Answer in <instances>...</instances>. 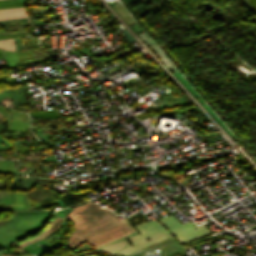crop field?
<instances>
[{
  "label": "crop field",
  "mask_w": 256,
  "mask_h": 256,
  "mask_svg": "<svg viewBox=\"0 0 256 256\" xmlns=\"http://www.w3.org/2000/svg\"><path fill=\"white\" fill-rule=\"evenodd\" d=\"M73 209L72 212L65 216L66 218L73 219L76 225V230L71 235L66 245V247L71 250L85 240L97 247L135 232L126 220L118 222L113 216L92 201ZM158 220L164 224L168 230L163 228L157 220L149 221L135 226L141 235L135 232L99 246L94 250L120 256H128L160 240L171 237L169 232L175 235L182 244L211 233L204 227L211 222L198 227L192 222L182 224L173 216L160 218ZM193 227H196V229H193ZM123 232H126V234ZM127 238L134 246L125 240ZM147 239H150V241H147ZM74 243L75 246L72 245Z\"/></svg>",
  "instance_id": "1"
},
{
  "label": "crop field",
  "mask_w": 256,
  "mask_h": 256,
  "mask_svg": "<svg viewBox=\"0 0 256 256\" xmlns=\"http://www.w3.org/2000/svg\"><path fill=\"white\" fill-rule=\"evenodd\" d=\"M53 194H54L53 191H51L50 189L38 184L35 189H33V190H31L30 192L27 193V196L48 205L51 201H53V200L55 201V199L53 197ZM29 197H28V199H29L30 206H33L35 204L40 203V202L35 201V200H33ZM82 197L84 198L85 201L90 200V198L86 194L82 195ZM82 197L75 194V193H72V192H66L65 194H63L59 198L64 202V204L66 206H68V205H71V204H74V203H77V202L84 201L82 199ZM42 203H40L38 205H35L33 207H29L27 209H40L41 207L46 206Z\"/></svg>",
  "instance_id": "2"
},
{
  "label": "crop field",
  "mask_w": 256,
  "mask_h": 256,
  "mask_svg": "<svg viewBox=\"0 0 256 256\" xmlns=\"http://www.w3.org/2000/svg\"><path fill=\"white\" fill-rule=\"evenodd\" d=\"M0 112L4 115V117L7 121V125H8L9 130H12V128H13V130H28L26 121L25 122L23 121V120L26 119L25 113H23V112H11L12 128H10V124H9V120L11 119L10 115L2 107H0Z\"/></svg>",
  "instance_id": "3"
},
{
  "label": "crop field",
  "mask_w": 256,
  "mask_h": 256,
  "mask_svg": "<svg viewBox=\"0 0 256 256\" xmlns=\"http://www.w3.org/2000/svg\"><path fill=\"white\" fill-rule=\"evenodd\" d=\"M17 195H18V201H19L20 209H25L24 201H25L26 208L29 207L26 194H23L24 201H23L22 193H17ZM10 196H11V202H12L13 208L14 209H19L16 193H10ZM10 196H9V193L0 192L1 202L4 203V204L11 205Z\"/></svg>",
  "instance_id": "4"
},
{
  "label": "crop field",
  "mask_w": 256,
  "mask_h": 256,
  "mask_svg": "<svg viewBox=\"0 0 256 256\" xmlns=\"http://www.w3.org/2000/svg\"><path fill=\"white\" fill-rule=\"evenodd\" d=\"M43 50H44V54H45V58L46 59L54 57L53 52L47 51V49H43ZM43 50L42 49H40V50H32L33 56L19 58L20 63L27 62L29 60L45 59L44 58V54H43ZM6 61H7L8 65H14V64H18L19 63L18 58L11 59V60H6Z\"/></svg>",
  "instance_id": "5"
},
{
  "label": "crop field",
  "mask_w": 256,
  "mask_h": 256,
  "mask_svg": "<svg viewBox=\"0 0 256 256\" xmlns=\"http://www.w3.org/2000/svg\"><path fill=\"white\" fill-rule=\"evenodd\" d=\"M62 221H63L62 218H58V217H57L56 219H54L53 221H51V223L48 224L46 230H45L44 232L42 231L43 233H41L39 236L34 237V238L30 239V240L23 241V242H21L20 244H18L17 246L23 248V247H25V246H27V245H30V244H32V243H34V242H37V241L43 239V238L46 237L51 231H53L54 229H56L57 227H59Z\"/></svg>",
  "instance_id": "6"
},
{
  "label": "crop field",
  "mask_w": 256,
  "mask_h": 256,
  "mask_svg": "<svg viewBox=\"0 0 256 256\" xmlns=\"http://www.w3.org/2000/svg\"><path fill=\"white\" fill-rule=\"evenodd\" d=\"M140 38L147 44V46L161 59V61L171 70L175 71V67L168 62V60L163 56V54L158 50V48L153 44V42L145 35L144 32L138 34Z\"/></svg>",
  "instance_id": "7"
},
{
  "label": "crop field",
  "mask_w": 256,
  "mask_h": 256,
  "mask_svg": "<svg viewBox=\"0 0 256 256\" xmlns=\"http://www.w3.org/2000/svg\"><path fill=\"white\" fill-rule=\"evenodd\" d=\"M27 17L24 7L0 10V20Z\"/></svg>",
  "instance_id": "8"
},
{
  "label": "crop field",
  "mask_w": 256,
  "mask_h": 256,
  "mask_svg": "<svg viewBox=\"0 0 256 256\" xmlns=\"http://www.w3.org/2000/svg\"><path fill=\"white\" fill-rule=\"evenodd\" d=\"M48 215H49V213L44 214L43 217H42V219H41L39 222H37L36 224H34L32 227H30L29 229H27V230L24 231L23 233L21 232L22 234H20L19 236H17L14 240H17V239H19V238H22V237H24V236H27V235H29V234H32V233L38 231L39 229H41L42 226L44 225V223H45V221H46ZM14 240H13V241H14ZM11 242H12V241H11ZM8 246H11V243H10V242H8V243H6V244H3V245H0V247L2 248V250L5 249V248L8 247Z\"/></svg>",
  "instance_id": "9"
},
{
  "label": "crop field",
  "mask_w": 256,
  "mask_h": 256,
  "mask_svg": "<svg viewBox=\"0 0 256 256\" xmlns=\"http://www.w3.org/2000/svg\"><path fill=\"white\" fill-rule=\"evenodd\" d=\"M65 230H66L65 227L62 228L61 230H59L55 234H53V235L49 236L48 238H46L45 241H47L48 243H50L53 246L59 244L60 237L64 233ZM57 236H59V238H57Z\"/></svg>",
  "instance_id": "10"
},
{
  "label": "crop field",
  "mask_w": 256,
  "mask_h": 256,
  "mask_svg": "<svg viewBox=\"0 0 256 256\" xmlns=\"http://www.w3.org/2000/svg\"><path fill=\"white\" fill-rule=\"evenodd\" d=\"M0 48L7 49L10 51H15L14 39H4L0 40Z\"/></svg>",
  "instance_id": "11"
},
{
  "label": "crop field",
  "mask_w": 256,
  "mask_h": 256,
  "mask_svg": "<svg viewBox=\"0 0 256 256\" xmlns=\"http://www.w3.org/2000/svg\"><path fill=\"white\" fill-rule=\"evenodd\" d=\"M0 171L14 172L15 168L12 161L0 160Z\"/></svg>",
  "instance_id": "12"
},
{
  "label": "crop field",
  "mask_w": 256,
  "mask_h": 256,
  "mask_svg": "<svg viewBox=\"0 0 256 256\" xmlns=\"http://www.w3.org/2000/svg\"><path fill=\"white\" fill-rule=\"evenodd\" d=\"M5 53H6V59L16 58L18 56L21 57V56L32 55L31 50L17 52L18 56L16 52L5 51Z\"/></svg>",
  "instance_id": "13"
},
{
  "label": "crop field",
  "mask_w": 256,
  "mask_h": 256,
  "mask_svg": "<svg viewBox=\"0 0 256 256\" xmlns=\"http://www.w3.org/2000/svg\"><path fill=\"white\" fill-rule=\"evenodd\" d=\"M55 111V110H51ZM28 112H50V111H28ZM29 115H57L56 112H50V113H28ZM33 117H41V118H47V119H54L58 118L57 116H33Z\"/></svg>",
  "instance_id": "14"
},
{
  "label": "crop field",
  "mask_w": 256,
  "mask_h": 256,
  "mask_svg": "<svg viewBox=\"0 0 256 256\" xmlns=\"http://www.w3.org/2000/svg\"><path fill=\"white\" fill-rule=\"evenodd\" d=\"M17 152H20V153H27V152H30L31 150L34 151V150H38L40 148H42L43 146L39 145V146H36V147H29L31 150H29L28 148L24 147L22 144L20 145H16V146H13Z\"/></svg>",
  "instance_id": "15"
},
{
  "label": "crop field",
  "mask_w": 256,
  "mask_h": 256,
  "mask_svg": "<svg viewBox=\"0 0 256 256\" xmlns=\"http://www.w3.org/2000/svg\"><path fill=\"white\" fill-rule=\"evenodd\" d=\"M3 30H25L23 26H5L1 25Z\"/></svg>",
  "instance_id": "16"
},
{
  "label": "crop field",
  "mask_w": 256,
  "mask_h": 256,
  "mask_svg": "<svg viewBox=\"0 0 256 256\" xmlns=\"http://www.w3.org/2000/svg\"><path fill=\"white\" fill-rule=\"evenodd\" d=\"M31 163H32V165H33V167H34V169H35L37 175L42 176V174H41V172H40V170H39V168H38V165H37L36 161H31ZM42 177H43V176H42Z\"/></svg>",
  "instance_id": "17"
},
{
  "label": "crop field",
  "mask_w": 256,
  "mask_h": 256,
  "mask_svg": "<svg viewBox=\"0 0 256 256\" xmlns=\"http://www.w3.org/2000/svg\"><path fill=\"white\" fill-rule=\"evenodd\" d=\"M74 118H71V119H63V120H50L49 123H52V122H74Z\"/></svg>",
  "instance_id": "18"
},
{
  "label": "crop field",
  "mask_w": 256,
  "mask_h": 256,
  "mask_svg": "<svg viewBox=\"0 0 256 256\" xmlns=\"http://www.w3.org/2000/svg\"><path fill=\"white\" fill-rule=\"evenodd\" d=\"M22 35H27V34H16V35L0 36V39L9 38V37H14V36H22Z\"/></svg>",
  "instance_id": "19"
},
{
  "label": "crop field",
  "mask_w": 256,
  "mask_h": 256,
  "mask_svg": "<svg viewBox=\"0 0 256 256\" xmlns=\"http://www.w3.org/2000/svg\"><path fill=\"white\" fill-rule=\"evenodd\" d=\"M20 2H24V1H17V3H20ZM7 3H12V2H7ZM0 4H2V3H0ZM21 4H23V3H21ZM2 5H4V4H2ZM12 5H20V4H11V5H4V6H12ZM8 8H12V7H8ZM0 9H3V8H0Z\"/></svg>",
  "instance_id": "20"
},
{
  "label": "crop field",
  "mask_w": 256,
  "mask_h": 256,
  "mask_svg": "<svg viewBox=\"0 0 256 256\" xmlns=\"http://www.w3.org/2000/svg\"><path fill=\"white\" fill-rule=\"evenodd\" d=\"M23 165H25V166H27V167H29L30 165H31V163H30V161H26L25 163H22ZM31 167H32V165H31ZM33 168V167H32Z\"/></svg>",
  "instance_id": "21"
},
{
  "label": "crop field",
  "mask_w": 256,
  "mask_h": 256,
  "mask_svg": "<svg viewBox=\"0 0 256 256\" xmlns=\"http://www.w3.org/2000/svg\"><path fill=\"white\" fill-rule=\"evenodd\" d=\"M17 33H27L26 31H21V32H17Z\"/></svg>",
  "instance_id": "22"
},
{
  "label": "crop field",
  "mask_w": 256,
  "mask_h": 256,
  "mask_svg": "<svg viewBox=\"0 0 256 256\" xmlns=\"http://www.w3.org/2000/svg\"><path fill=\"white\" fill-rule=\"evenodd\" d=\"M2 1H12V0H0V2H2Z\"/></svg>",
  "instance_id": "23"
},
{
  "label": "crop field",
  "mask_w": 256,
  "mask_h": 256,
  "mask_svg": "<svg viewBox=\"0 0 256 256\" xmlns=\"http://www.w3.org/2000/svg\"><path fill=\"white\" fill-rule=\"evenodd\" d=\"M1 51V50H0ZM0 53H3V52H0ZM0 58H4V56H0Z\"/></svg>",
  "instance_id": "24"
}]
</instances>
